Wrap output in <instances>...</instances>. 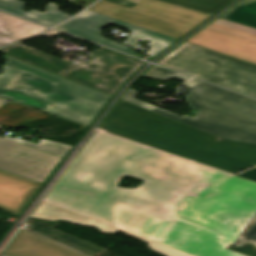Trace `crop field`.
I'll return each mask as SVG.
<instances>
[{
    "label": "crop field",
    "mask_w": 256,
    "mask_h": 256,
    "mask_svg": "<svg viewBox=\"0 0 256 256\" xmlns=\"http://www.w3.org/2000/svg\"><path fill=\"white\" fill-rule=\"evenodd\" d=\"M125 175L143 182L116 186ZM255 215V183L96 131L31 216L122 230L163 256H243L228 249Z\"/></svg>",
    "instance_id": "8a807250"
},
{
    "label": "crop field",
    "mask_w": 256,
    "mask_h": 256,
    "mask_svg": "<svg viewBox=\"0 0 256 256\" xmlns=\"http://www.w3.org/2000/svg\"><path fill=\"white\" fill-rule=\"evenodd\" d=\"M99 127L232 174L256 166V144L218 140L122 100Z\"/></svg>",
    "instance_id": "ac0d7876"
},
{
    "label": "crop field",
    "mask_w": 256,
    "mask_h": 256,
    "mask_svg": "<svg viewBox=\"0 0 256 256\" xmlns=\"http://www.w3.org/2000/svg\"><path fill=\"white\" fill-rule=\"evenodd\" d=\"M0 96L90 126L113 96L7 55ZM53 104L55 107L49 105Z\"/></svg>",
    "instance_id": "34b2d1b8"
},
{
    "label": "crop field",
    "mask_w": 256,
    "mask_h": 256,
    "mask_svg": "<svg viewBox=\"0 0 256 256\" xmlns=\"http://www.w3.org/2000/svg\"><path fill=\"white\" fill-rule=\"evenodd\" d=\"M183 85L193 88L186 96L191 107L200 110L192 118L178 116L135 98L129 89L122 100L157 112L220 138L256 143V100L192 78Z\"/></svg>",
    "instance_id": "412701ff"
},
{
    "label": "crop field",
    "mask_w": 256,
    "mask_h": 256,
    "mask_svg": "<svg viewBox=\"0 0 256 256\" xmlns=\"http://www.w3.org/2000/svg\"><path fill=\"white\" fill-rule=\"evenodd\" d=\"M158 64L256 97V65L190 43Z\"/></svg>",
    "instance_id": "f4fd0767"
},
{
    "label": "crop field",
    "mask_w": 256,
    "mask_h": 256,
    "mask_svg": "<svg viewBox=\"0 0 256 256\" xmlns=\"http://www.w3.org/2000/svg\"><path fill=\"white\" fill-rule=\"evenodd\" d=\"M90 9L177 39L208 17L155 0H101Z\"/></svg>",
    "instance_id": "dd49c442"
},
{
    "label": "crop field",
    "mask_w": 256,
    "mask_h": 256,
    "mask_svg": "<svg viewBox=\"0 0 256 256\" xmlns=\"http://www.w3.org/2000/svg\"><path fill=\"white\" fill-rule=\"evenodd\" d=\"M94 60L62 74L66 78L113 95L145 62L101 48L89 55Z\"/></svg>",
    "instance_id": "e52e79f7"
},
{
    "label": "crop field",
    "mask_w": 256,
    "mask_h": 256,
    "mask_svg": "<svg viewBox=\"0 0 256 256\" xmlns=\"http://www.w3.org/2000/svg\"><path fill=\"white\" fill-rule=\"evenodd\" d=\"M110 23L133 31L128 36V39L124 42V44L133 46L139 40H152L146 45L152 48L148 52L146 51L147 53L145 54H147L148 56H156L158 53L163 51L165 48H167L169 45L177 40L124 21L94 13L90 10L82 13L75 19L58 26L57 28L110 46L128 54L143 58V56L135 53V51L130 50L128 47L112 42L101 36L99 30Z\"/></svg>",
    "instance_id": "d8731c3e"
},
{
    "label": "crop field",
    "mask_w": 256,
    "mask_h": 256,
    "mask_svg": "<svg viewBox=\"0 0 256 256\" xmlns=\"http://www.w3.org/2000/svg\"><path fill=\"white\" fill-rule=\"evenodd\" d=\"M187 42L256 64V29L216 19Z\"/></svg>",
    "instance_id": "5a996713"
},
{
    "label": "crop field",
    "mask_w": 256,
    "mask_h": 256,
    "mask_svg": "<svg viewBox=\"0 0 256 256\" xmlns=\"http://www.w3.org/2000/svg\"><path fill=\"white\" fill-rule=\"evenodd\" d=\"M4 100L0 99V104ZM0 128H2L0 126ZM61 157L0 137V169L43 183Z\"/></svg>",
    "instance_id": "3316defc"
},
{
    "label": "crop field",
    "mask_w": 256,
    "mask_h": 256,
    "mask_svg": "<svg viewBox=\"0 0 256 256\" xmlns=\"http://www.w3.org/2000/svg\"><path fill=\"white\" fill-rule=\"evenodd\" d=\"M3 253L10 256H83L24 229L17 232Z\"/></svg>",
    "instance_id": "28ad6ade"
},
{
    "label": "crop field",
    "mask_w": 256,
    "mask_h": 256,
    "mask_svg": "<svg viewBox=\"0 0 256 256\" xmlns=\"http://www.w3.org/2000/svg\"><path fill=\"white\" fill-rule=\"evenodd\" d=\"M40 185L0 170V208L18 215Z\"/></svg>",
    "instance_id": "d1516ede"
},
{
    "label": "crop field",
    "mask_w": 256,
    "mask_h": 256,
    "mask_svg": "<svg viewBox=\"0 0 256 256\" xmlns=\"http://www.w3.org/2000/svg\"><path fill=\"white\" fill-rule=\"evenodd\" d=\"M0 52L36 65L43 69L49 70L58 75L76 66L72 63L66 62L21 44L1 49Z\"/></svg>",
    "instance_id": "22f410ed"
},
{
    "label": "crop field",
    "mask_w": 256,
    "mask_h": 256,
    "mask_svg": "<svg viewBox=\"0 0 256 256\" xmlns=\"http://www.w3.org/2000/svg\"><path fill=\"white\" fill-rule=\"evenodd\" d=\"M46 27L0 12V47L37 34Z\"/></svg>",
    "instance_id": "cbeb9de0"
},
{
    "label": "crop field",
    "mask_w": 256,
    "mask_h": 256,
    "mask_svg": "<svg viewBox=\"0 0 256 256\" xmlns=\"http://www.w3.org/2000/svg\"><path fill=\"white\" fill-rule=\"evenodd\" d=\"M25 6L26 3L18 0H0V9L48 26H53L71 16L69 14L59 11L58 5L53 3H49L46 13H40L36 10L27 13L23 11Z\"/></svg>",
    "instance_id": "5142ce71"
},
{
    "label": "crop field",
    "mask_w": 256,
    "mask_h": 256,
    "mask_svg": "<svg viewBox=\"0 0 256 256\" xmlns=\"http://www.w3.org/2000/svg\"><path fill=\"white\" fill-rule=\"evenodd\" d=\"M29 231L40 234L42 236L53 239L69 248L77 250L87 256H94L106 249L98 247L96 245L90 244L83 240L77 239L70 235L64 234L62 232L56 231L54 229L45 228L41 226L33 225Z\"/></svg>",
    "instance_id": "d9b57169"
},
{
    "label": "crop field",
    "mask_w": 256,
    "mask_h": 256,
    "mask_svg": "<svg viewBox=\"0 0 256 256\" xmlns=\"http://www.w3.org/2000/svg\"><path fill=\"white\" fill-rule=\"evenodd\" d=\"M220 18L256 28V0H243Z\"/></svg>",
    "instance_id": "733c2abd"
},
{
    "label": "crop field",
    "mask_w": 256,
    "mask_h": 256,
    "mask_svg": "<svg viewBox=\"0 0 256 256\" xmlns=\"http://www.w3.org/2000/svg\"><path fill=\"white\" fill-rule=\"evenodd\" d=\"M196 11L213 14L232 0H163Z\"/></svg>",
    "instance_id": "4a817a6b"
},
{
    "label": "crop field",
    "mask_w": 256,
    "mask_h": 256,
    "mask_svg": "<svg viewBox=\"0 0 256 256\" xmlns=\"http://www.w3.org/2000/svg\"><path fill=\"white\" fill-rule=\"evenodd\" d=\"M4 138L13 140L15 142H18L20 144L29 146V147H33L51 154H55L58 156L63 157L65 155V153L72 149V146H68V145H64V144H60V143H56V142H52V141H48V140H44L41 139L38 143V145L21 140V139H16V138H11V137H7L5 136Z\"/></svg>",
    "instance_id": "bc2a9ffb"
},
{
    "label": "crop field",
    "mask_w": 256,
    "mask_h": 256,
    "mask_svg": "<svg viewBox=\"0 0 256 256\" xmlns=\"http://www.w3.org/2000/svg\"><path fill=\"white\" fill-rule=\"evenodd\" d=\"M142 77L158 79L168 81L170 78L174 77L181 80H188L190 77L175 73L173 71L167 70L165 68L154 65L151 69H149Z\"/></svg>",
    "instance_id": "214f88e0"
},
{
    "label": "crop field",
    "mask_w": 256,
    "mask_h": 256,
    "mask_svg": "<svg viewBox=\"0 0 256 256\" xmlns=\"http://www.w3.org/2000/svg\"><path fill=\"white\" fill-rule=\"evenodd\" d=\"M245 243H252L256 247V216L232 247H241Z\"/></svg>",
    "instance_id": "92a150f3"
},
{
    "label": "crop field",
    "mask_w": 256,
    "mask_h": 256,
    "mask_svg": "<svg viewBox=\"0 0 256 256\" xmlns=\"http://www.w3.org/2000/svg\"><path fill=\"white\" fill-rule=\"evenodd\" d=\"M255 247L251 244H246L242 246L241 248H231L230 250H233L235 252L241 253L246 256H256V251L254 250Z\"/></svg>",
    "instance_id": "dafd665d"
},
{
    "label": "crop field",
    "mask_w": 256,
    "mask_h": 256,
    "mask_svg": "<svg viewBox=\"0 0 256 256\" xmlns=\"http://www.w3.org/2000/svg\"><path fill=\"white\" fill-rule=\"evenodd\" d=\"M26 223L41 225V226L50 227V228H53V227L61 224L59 222L45 221V220H40V219H36V218H32V217H29L27 219Z\"/></svg>",
    "instance_id": "00972430"
},
{
    "label": "crop field",
    "mask_w": 256,
    "mask_h": 256,
    "mask_svg": "<svg viewBox=\"0 0 256 256\" xmlns=\"http://www.w3.org/2000/svg\"><path fill=\"white\" fill-rule=\"evenodd\" d=\"M237 177H240V178H243V179H246V180L256 183V168H254L250 171L244 172V173L238 175Z\"/></svg>",
    "instance_id": "a9b5d70f"
},
{
    "label": "crop field",
    "mask_w": 256,
    "mask_h": 256,
    "mask_svg": "<svg viewBox=\"0 0 256 256\" xmlns=\"http://www.w3.org/2000/svg\"><path fill=\"white\" fill-rule=\"evenodd\" d=\"M59 33H61V32H58V31H55V30H50V31L46 32V34H48L50 36L56 35V34H59Z\"/></svg>",
    "instance_id": "4177f3b9"
},
{
    "label": "crop field",
    "mask_w": 256,
    "mask_h": 256,
    "mask_svg": "<svg viewBox=\"0 0 256 256\" xmlns=\"http://www.w3.org/2000/svg\"><path fill=\"white\" fill-rule=\"evenodd\" d=\"M95 0H82V2L86 3L84 7H87L90 3L94 2Z\"/></svg>",
    "instance_id": "730fd06b"
},
{
    "label": "crop field",
    "mask_w": 256,
    "mask_h": 256,
    "mask_svg": "<svg viewBox=\"0 0 256 256\" xmlns=\"http://www.w3.org/2000/svg\"><path fill=\"white\" fill-rule=\"evenodd\" d=\"M0 256H7V255H5V254L1 253V254H0Z\"/></svg>",
    "instance_id": "eef30255"
}]
</instances>
